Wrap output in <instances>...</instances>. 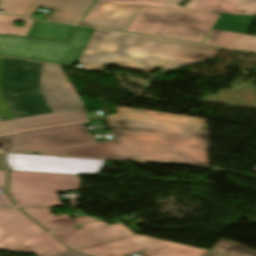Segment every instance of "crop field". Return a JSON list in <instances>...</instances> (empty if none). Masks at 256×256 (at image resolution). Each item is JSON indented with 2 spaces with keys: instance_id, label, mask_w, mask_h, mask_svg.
Instances as JSON below:
<instances>
[{
  "instance_id": "crop-field-10",
  "label": "crop field",
  "mask_w": 256,
  "mask_h": 256,
  "mask_svg": "<svg viewBox=\"0 0 256 256\" xmlns=\"http://www.w3.org/2000/svg\"><path fill=\"white\" fill-rule=\"evenodd\" d=\"M53 233L60 241L71 249L134 234L124 223L109 226L103 221L83 225Z\"/></svg>"
},
{
  "instance_id": "crop-field-22",
  "label": "crop field",
  "mask_w": 256,
  "mask_h": 256,
  "mask_svg": "<svg viewBox=\"0 0 256 256\" xmlns=\"http://www.w3.org/2000/svg\"><path fill=\"white\" fill-rule=\"evenodd\" d=\"M24 38L0 36V55L15 57Z\"/></svg>"
},
{
  "instance_id": "crop-field-29",
  "label": "crop field",
  "mask_w": 256,
  "mask_h": 256,
  "mask_svg": "<svg viewBox=\"0 0 256 256\" xmlns=\"http://www.w3.org/2000/svg\"><path fill=\"white\" fill-rule=\"evenodd\" d=\"M0 169H4L3 166L1 165V158H0Z\"/></svg>"
},
{
  "instance_id": "crop-field-26",
  "label": "crop field",
  "mask_w": 256,
  "mask_h": 256,
  "mask_svg": "<svg viewBox=\"0 0 256 256\" xmlns=\"http://www.w3.org/2000/svg\"><path fill=\"white\" fill-rule=\"evenodd\" d=\"M5 178V171H0V188L3 187ZM11 206L4 193H0V207Z\"/></svg>"
},
{
  "instance_id": "crop-field-13",
  "label": "crop field",
  "mask_w": 256,
  "mask_h": 256,
  "mask_svg": "<svg viewBox=\"0 0 256 256\" xmlns=\"http://www.w3.org/2000/svg\"><path fill=\"white\" fill-rule=\"evenodd\" d=\"M94 0H35L25 16L33 18L38 7L55 11L48 20L78 24Z\"/></svg>"
},
{
  "instance_id": "crop-field-17",
  "label": "crop field",
  "mask_w": 256,
  "mask_h": 256,
  "mask_svg": "<svg viewBox=\"0 0 256 256\" xmlns=\"http://www.w3.org/2000/svg\"><path fill=\"white\" fill-rule=\"evenodd\" d=\"M254 19L252 16L222 14L213 28L246 34Z\"/></svg>"
},
{
  "instance_id": "crop-field-30",
  "label": "crop field",
  "mask_w": 256,
  "mask_h": 256,
  "mask_svg": "<svg viewBox=\"0 0 256 256\" xmlns=\"http://www.w3.org/2000/svg\"><path fill=\"white\" fill-rule=\"evenodd\" d=\"M84 68H87V67H84ZM87 69H92V68H87ZM93 70H97V69H93Z\"/></svg>"
},
{
  "instance_id": "crop-field-12",
  "label": "crop field",
  "mask_w": 256,
  "mask_h": 256,
  "mask_svg": "<svg viewBox=\"0 0 256 256\" xmlns=\"http://www.w3.org/2000/svg\"><path fill=\"white\" fill-rule=\"evenodd\" d=\"M88 120L83 109L0 122V134Z\"/></svg>"
},
{
  "instance_id": "crop-field-28",
  "label": "crop field",
  "mask_w": 256,
  "mask_h": 256,
  "mask_svg": "<svg viewBox=\"0 0 256 256\" xmlns=\"http://www.w3.org/2000/svg\"><path fill=\"white\" fill-rule=\"evenodd\" d=\"M52 256H80L71 252H66V253H62V254H57V255H52Z\"/></svg>"
},
{
  "instance_id": "crop-field-8",
  "label": "crop field",
  "mask_w": 256,
  "mask_h": 256,
  "mask_svg": "<svg viewBox=\"0 0 256 256\" xmlns=\"http://www.w3.org/2000/svg\"><path fill=\"white\" fill-rule=\"evenodd\" d=\"M92 31L77 26L68 44L26 38L17 57L72 66L78 62Z\"/></svg>"
},
{
  "instance_id": "crop-field-9",
  "label": "crop field",
  "mask_w": 256,
  "mask_h": 256,
  "mask_svg": "<svg viewBox=\"0 0 256 256\" xmlns=\"http://www.w3.org/2000/svg\"><path fill=\"white\" fill-rule=\"evenodd\" d=\"M11 170L97 175L105 161L6 154Z\"/></svg>"
},
{
  "instance_id": "crop-field-21",
  "label": "crop field",
  "mask_w": 256,
  "mask_h": 256,
  "mask_svg": "<svg viewBox=\"0 0 256 256\" xmlns=\"http://www.w3.org/2000/svg\"><path fill=\"white\" fill-rule=\"evenodd\" d=\"M34 0H0V9L4 13L24 16Z\"/></svg>"
},
{
  "instance_id": "crop-field-11",
  "label": "crop field",
  "mask_w": 256,
  "mask_h": 256,
  "mask_svg": "<svg viewBox=\"0 0 256 256\" xmlns=\"http://www.w3.org/2000/svg\"><path fill=\"white\" fill-rule=\"evenodd\" d=\"M141 6L95 2L80 24L125 31Z\"/></svg>"
},
{
  "instance_id": "crop-field-27",
  "label": "crop field",
  "mask_w": 256,
  "mask_h": 256,
  "mask_svg": "<svg viewBox=\"0 0 256 256\" xmlns=\"http://www.w3.org/2000/svg\"><path fill=\"white\" fill-rule=\"evenodd\" d=\"M0 107H1L4 115L7 117L8 120L13 119L9 110H8V108H7V106H6V104H5V100H4L1 92H0Z\"/></svg>"
},
{
  "instance_id": "crop-field-24",
  "label": "crop field",
  "mask_w": 256,
  "mask_h": 256,
  "mask_svg": "<svg viewBox=\"0 0 256 256\" xmlns=\"http://www.w3.org/2000/svg\"><path fill=\"white\" fill-rule=\"evenodd\" d=\"M213 249H216L218 251L221 252H225V253H229V254H233V255H237L239 254L245 247L228 242V241H224L221 240L220 242H218L214 247H212Z\"/></svg>"
},
{
  "instance_id": "crop-field-15",
  "label": "crop field",
  "mask_w": 256,
  "mask_h": 256,
  "mask_svg": "<svg viewBox=\"0 0 256 256\" xmlns=\"http://www.w3.org/2000/svg\"><path fill=\"white\" fill-rule=\"evenodd\" d=\"M203 43L256 52V37L241 33L211 29Z\"/></svg>"
},
{
  "instance_id": "crop-field-25",
  "label": "crop field",
  "mask_w": 256,
  "mask_h": 256,
  "mask_svg": "<svg viewBox=\"0 0 256 256\" xmlns=\"http://www.w3.org/2000/svg\"><path fill=\"white\" fill-rule=\"evenodd\" d=\"M204 256H232L228 254H224L221 252H218L216 250L211 249L206 255ZM237 256H256V251L251 250L249 248H245L239 255Z\"/></svg>"
},
{
  "instance_id": "crop-field-18",
  "label": "crop field",
  "mask_w": 256,
  "mask_h": 256,
  "mask_svg": "<svg viewBox=\"0 0 256 256\" xmlns=\"http://www.w3.org/2000/svg\"><path fill=\"white\" fill-rule=\"evenodd\" d=\"M256 16V0H222L217 11L219 13L240 14Z\"/></svg>"
},
{
  "instance_id": "crop-field-2",
  "label": "crop field",
  "mask_w": 256,
  "mask_h": 256,
  "mask_svg": "<svg viewBox=\"0 0 256 256\" xmlns=\"http://www.w3.org/2000/svg\"><path fill=\"white\" fill-rule=\"evenodd\" d=\"M220 48L121 34L95 29L79 62L102 69L104 64L152 72L191 65L218 56Z\"/></svg>"
},
{
  "instance_id": "crop-field-31",
  "label": "crop field",
  "mask_w": 256,
  "mask_h": 256,
  "mask_svg": "<svg viewBox=\"0 0 256 256\" xmlns=\"http://www.w3.org/2000/svg\"><path fill=\"white\" fill-rule=\"evenodd\" d=\"M3 120L1 117H0V121Z\"/></svg>"
},
{
  "instance_id": "crop-field-23",
  "label": "crop field",
  "mask_w": 256,
  "mask_h": 256,
  "mask_svg": "<svg viewBox=\"0 0 256 256\" xmlns=\"http://www.w3.org/2000/svg\"><path fill=\"white\" fill-rule=\"evenodd\" d=\"M221 0H190L183 9L215 12Z\"/></svg>"
},
{
  "instance_id": "crop-field-7",
  "label": "crop field",
  "mask_w": 256,
  "mask_h": 256,
  "mask_svg": "<svg viewBox=\"0 0 256 256\" xmlns=\"http://www.w3.org/2000/svg\"><path fill=\"white\" fill-rule=\"evenodd\" d=\"M74 250L91 256H128L140 250H146L141 256H203L208 252L137 234Z\"/></svg>"
},
{
  "instance_id": "crop-field-14",
  "label": "crop field",
  "mask_w": 256,
  "mask_h": 256,
  "mask_svg": "<svg viewBox=\"0 0 256 256\" xmlns=\"http://www.w3.org/2000/svg\"><path fill=\"white\" fill-rule=\"evenodd\" d=\"M50 232L59 230L72 225L96 220L94 218L83 216L80 218H72L67 214L54 216L49 208H21Z\"/></svg>"
},
{
  "instance_id": "crop-field-5",
  "label": "crop field",
  "mask_w": 256,
  "mask_h": 256,
  "mask_svg": "<svg viewBox=\"0 0 256 256\" xmlns=\"http://www.w3.org/2000/svg\"><path fill=\"white\" fill-rule=\"evenodd\" d=\"M79 186L77 175L10 171L9 192L18 206H61L57 193Z\"/></svg>"
},
{
  "instance_id": "crop-field-1",
  "label": "crop field",
  "mask_w": 256,
  "mask_h": 256,
  "mask_svg": "<svg viewBox=\"0 0 256 256\" xmlns=\"http://www.w3.org/2000/svg\"><path fill=\"white\" fill-rule=\"evenodd\" d=\"M106 116L115 140L95 142L83 127L62 125L0 136L3 151L208 165L207 120L132 108Z\"/></svg>"
},
{
  "instance_id": "crop-field-6",
  "label": "crop field",
  "mask_w": 256,
  "mask_h": 256,
  "mask_svg": "<svg viewBox=\"0 0 256 256\" xmlns=\"http://www.w3.org/2000/svg\"><path fill=\"white\" fill-rule=\"evenodd\" d=\"M0 250L36 256L67 251L15 209H0Z\"/></svg>"
},
{
  "instance_id": "crop-field-19",
  "label": "crop field",
  "mask_w": 256,
  "mask_h": 256,
  "mask_svg": "<svg viewBox=\"0 0 256 256\" xmlns=\"http://www.w3.org/2000/svg\"><path fill=\"white\" fill-rule=\"evenodd\" d=\"M15 20L25 21L23 27L12 26ZM34 20L0 14V34H14L26 37Z\"/></svg>"
},
{
  "instance_id": "crop-field-20",
  "label": "crop field",
  "mask_w": 256,
  "mask_h": 256,
  "mask_svg": "<svg viewBox=\"0 0 256 256\" xmlns=\"http://www.w3.org/2000/svg\"><path fill=\"white\" fill-rule=\"evenodd\" d=\"M97 1L178 9L182 0H97Z\"/></svg>"
},
{
  "instance_id": "crop-field-16",
  "label": "crop field",
  "mask_w": 256,
  "mask_h": 256,
  "mask_svg": "<svg viewBox=\"0 0 256 256\" xmlns=\"http://www.w3.org/2000/svg\"><path fill=\"white\" fill-rule=\"evenodd\" d=\"M75 26L36 20L27 37L67 42Z\"/></svg>"
},
{
  "instance_id": "crop-field-4",
  "label": "crop field",
  "mask_w": 256,
  "mask_h": 256,
  "mask_svg": "<svg viewBox=\"0 0 256 256\" xmlns=\"http://www.w3.org/2000/svg\"><path fill=\"white\" fill-rule=\"evenodd\" d=\"M219 14L142 6L126 31L202 43Z\"/></svg>"
},
{
  "instance_id": "crop-field-3",
  "label": "crop field",
  "mask_w": 256,
  "mask_h": 256,
  "mask_svg": "<svg viewBox=\"0 0 256 256\" xmlns=\"http://www.w3.org/2000/svg\"><path fill=\"white\" fill-rule=\"evenodd\" d=\"M0 90L14 118L85 108L60 66L0 59Z\"/></svg>"
}]
</instances>
